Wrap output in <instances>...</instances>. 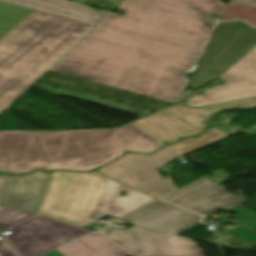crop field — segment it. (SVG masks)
Instances as JSON below:
<instances>
[{
  "label": "crop field",
  "mask_w": 256,
  "mask_h": 256,
  "mask_svg": "<svg viewBox=\"0 0 256 256\" xmlns=\"http://www.w3.org/2000/svg\"><path fill=\"white\" fill-rule=\"evenodd\" d=\"M227 4L125 0L51 70L179 102Z\"/></svg>",
  "instance_id": "8a807250"
},
{
  "label": "crop field",
  "mask_w": 256,
  "mask_h": 256,
  "mask_svg": "<svg viewBox=\"0 0 256 256\" xmlns=\"http://www.w3.org/2000/svg\"><path fill=\"white\" fill-rule=\"evenodd\" d=\"M161 146L130 124L103 130L0 132V170L91 171L126 150L152 153Z\"/></svg>",
  "instance_id": "ac0d7876"
},
{
  "label": "crop field",
  "mask_w": 256,
  "mask_h": 256,
  "mask_svg": "<svg viewBox=\"0 0 256 256\" xmlns=\"http://www.w3.org/2000/svg\"><path fill=\"white\" fill-rule=\"evenodd\" d=\"M117 185L99 172L35 171L11 176L1 204L85 225L105 214L118 217L155 199L130 189L127 198L115 197Z\"/></svg>",
  "instance_id": "34b2d1b8"
},
{
  "label": "crop field",
  "mask_w": 256,
  "mask_h": 256,
  "mask_svg": "<svg viewBox=\"0 0 256 256\" xmlns=\"http://www.w3.org/2000/svg\"><path fill=\"white\" fill-rule=\"evenodd\" d=\"M95 28L34 11L0 39V115Z\"/></svg>",
  "instance_id": "412701ff"
},
{
  "label": "crop field",
  "mask_w": 256,
  "mask_h": 256,
  "mask_svg": "<svg viewBox=\"0 0 256 256\" xmlns=\"http://www.w3.org/2000/svg\"><path fill=\"white\" fill-rule=\"evenodd\" d=\"M237 107H256V97L199 109L175 104L133 124L165 145L205 131L209 119L216 112Z\"/></svg>",
  "instance_id": "f4fd0767"
},
{
  "label": "crop field",
  "mask_w": 256,
  "mask_h": 256,
  "mask_svg": "<svg viewBox=\"0 0 256 256\" xmlns=\"http://www.w3.org/2000/svg\"><path fill=\"white\" fill-rule=\"evenodd\" d=\"M4 238L21 256H41L91 231L52 219L36 217Z\"/></svg>",
  "instance_id": "dd49c442"
},
{
  "label": "crop field",
  "mask_w": 256,
  "mask_h": 256,
  "mask_svg": "<svg viewBox=\"0 0 256 256\" xmlns=\"http://www.w3.org/2000/svg\"><path fill=\"white\" fill-rule=\"evenodd\" d=\"M155 154L158 157L126 155L120 166H110L100 172L123 185L159 197L174 188L169 180L162 179L157 169L179 156L166 148Z\"/></svg>",
  "instance_id": "e52e79f7"
},
{
  "label": "crop field",
  "mask_w": 256,
  "mask_h": 256,
  "mask_svg": "<svg viewBox=\"0 0 256 256\" xmlns=\"http://www.w3.org/2000/svg\"><path fill=\"white\" fill-rule=\"evenodd\" d=\"M212 177H203L162 199L196 211L202 215H208L219 209L229 210L241 204L245 197L233 196L224 191L219 184L230 177L222 169L214 172Z\"/></svg>",
  "instance_id": "d8731c3e"
},
{
  "label": "crop field",
  "mask_w": 256,
  "mask_h": 256,
  "mask_svg": "<svg viewBox=\"0 0 256 256\" xmlns=\"http://www.w3.org/2000/svg\"><path fill=\"white\" fill-rule=\"evenodd\" d=\"M108 237L131 251L136 256H205L190 238L174 236L132 227L128 231H112ZM130 252V253H131Z\"/></svg>",
  "instance_id": "5a996713"
},
{
  "label": "crop field",
  "mask_w": 256,
  "mask_h": 256,
  "mask_svg": "<svg viewBox=\"0 0 256 256\" xmlns=\"http://www.w3.org/2000/svg\"><path fill=\"white\" fill-rule=\"evenodd\" d=\"M219 78L226 84L194 97L186 105L200 107L256 96V47Z\"/></svg>",
  "instance_id": "3316defc"
},
{
  "label": "crop field",
  "mask_w": 256,
  "mask_h": 256,
  "mask_svg": "<svg viewBox=\"0 0 256 256\" xmlns=\"http://www.w3.org/2000/svg\"><path fill=\"white\" fill-rule=\"evenodd\" d=\"M201 219V215L158 199L115 222L177 235Z\"/></svg>",
  "instance_id": "28ad6ade"
},
{
  "label": "crop field",
  "mask_w": 256,
  "mask_h": 256,
  "mask_svg": "<svg viewBox=\"0 0 256 256\" xmlns=\"http://www.w3.org/2000/svg\"><path fill=\"white\" fill-rule=\"evenodd\" d=\"M1 2L98 25L111 12L103 10L93 11L86 5L68 0H0Z\"/></svg>",
  "instance_id": "d1516ede"
},
{
  "label": "crop field",
  "mask_w": 256,
  "mask_h": 256,
  "mask_svg": "<svg viewBox=\"0 0 256 256\" xmlns=\"http://www.w3.org/2000/svg\"><path fill=\"white\" fill-rule=\"evenodd\" d=\"M66 256H129L99 231H94L60 249Z\"/></svg>",
  "instance_id": "22f410ed"
},
{
  "label": "crop field",
  "mask_w": 256,
  "mask_h": 256,
  "mask_svg": "<svg viewBox=\"0 0 256 256\" xmlns=\"http://www.w3.org/2000/svg\"><path fill=\"white\" fill-rule=\"evenodd\" d=\"M237 128L239 127L211 125L208 132L202 135L196 136L194 138L175 143L168 147L181 155L188 151H191L199 147L205 146L207 144L221 140L224 137H226L228 134L235 131Z\"/></svg>",
  "instance_id": "cbeb9de0"
},
{
  "label": "crop field",
  "mask_w": 256,
  "mask_h": 256,
  "mask_svg": "<svg viewBox=\"0 0 256 256\" xmlns=\"http://www.w3.org/2000/svg\"><path fill=\"white\" fill-rule=\"evenodd\" d=\"M236 214L234 218L238 219V228L227 232V234L248 241L250 243L256 241V213L240 206L230 210Z\"/></svg>",
  "instance_id": "5142ce71"
},
{
  "label": "crop field",
  "mask_w": 256,
  "mask_h": 256,
  "mask_svg": "<svg viewBox=\"0 0 256 256\" xmlns=\"http://www.w3.org/2000/svg\"><path fill=\"white\" fill-rule=\"evenodd\" d=\"M31 12H33V10L0 2V37L15 27Z\"/></svg>",
  "instance_id": "d9b57169"
},
{
  "label": "crop field",
  "mask_w": 256,
  "mask_h": 256,
  "mask_svg": "<svg viewBox=\"0 0 256 256\" xmlns=\"http://www.w3.org/2000/svg\"><path fill=\"white\" fill-rule=\"evenodd\" d=\"M34 216L36 215H32L26 212H22L16 209H12V208L0 205V218H3V219L21 223Z\"/></svg>",
  "instance_id": "733c2abd"
},
{
  "label": "crop field",
  "mask_w": 256,
  "mask_h": 256,
  "mask_svg": "<svg viewBox=\"0 0 256 256\" xmlns=\"http://www.w3.org/2000/svg\"><path fill=\"white\" fill-rule=\"evenodd\" d=\"M0 256H19L8 244L1 238L0 239Z\"/></svg>",
  "instance_id": "4a817a6b"
},
{
  "label": "crop field",
  "mask_w": 256,
  "mask_h": 256,
  "mask_svg": "<svg viewBox=\"0 0 256 256\" xmlns=\"http://www.w3.org/2000/svg\"><path fill=\"white\" fill-rule=\"evenodd\" d=\"M10 176L0 175V202Z\"/></svg>",
  "instance_id": "bc2a9ffb"
},
{
  "label": "crop field",
  "mask_w": 256,
  "mask_h": 256,
  "mask_svg": "<svg viewBox=\"0 0 256 256\" xmlns=\"http://www.w3.org/2000/svg\"><path fill=\"white\" fill-rule=\"evenodd\" d=\"M120 192H125V196L120 195ZM114 195L125 198L127 196V188L119 184Z\"/></svg>",
  "instance_id": "214f88e0"
},
{
  "label": "crop field",
  "mask_w": 256,
  "mask_h": 256,
  "mask_svg": "<svg viewBox=\"0 0 256 256\" xmlns=\"http://www.w3.org/2000/svg\"><path fill=\"white\" fill-rule=\"evenodd\" d=\"M15 225H17V224H13V223H9V222L0 220V229L7 230Z\"/></svg>",
  "instance_id": "92a150f3"
},
{
  "label": "crop field",
  "mask_w": 256,
  "mask_h": 256,
  "mask_svg": "<svg viewBox=\"0 0 256 256\" xmlns=\"http://www.w3.org/2000/svg\"><path fill=\"white\" fill-rule=\"evenodd\" d=\"M230 121H231V120H229V119L223 118V119H221V120L216 121V122L213 123V124L227 125ZM230 123H231V122H230Z\"/></svg>",
  "instance_id": "dafd665d"
},
{
  "label": "crop field",
  "mask_w": 256,
  "mask_h": 256,
  "mask_svg": "<svg viewBox=\"0 0 256 256\" xmlns=\"http://www.w3.org/2000/svg\"><path fill=\"white\" fill-rule=\"evenodd\" d=\"M45 256H64L63 254L59 253L57 250L45 255Z\"/></svg>",
  "instance_id": "00972430"
},
{
  "label": "crop field",
  "mask_w": 256,
  "mask_h": 256,
  "mask_svg": "<svg viewBox=\"0 0 256 256\" xmlns=\"http://www.w3.org/2000/svg\"><path fill=\"white\" fill-rule=\"evenodd\" d=\"M151 156H156V155L153 154V155H151ZM123 158H124V157H122L121 159H123ZM121 159H119V160H121ZM119 160H117V161H115V162H113V163H111V164H109V165H107V166H105V167L99 169V171L102 170V169H104V168H106V167H108V166H110V165H118V161H119Z\"/></svg>",
  "instance_id": "a9b5d70f"
},
{
  "label": "crop field",
  "mask_w": 256,
  "mask_h": 256,
  "mask_svg": "<svg viewBox=\"0 0 256 256\" xmlns=\"http://www.w3.org/2000/svg\"><path fill=\"white\" fill-rule=\"evenodd\" d=\"M0 173H3V174H8V172H1V171H0Z\"/></svg>",
  "instance_id": "4177f3b9"
},
{
  "label": "crop field",
  "mask_w": 256,
  "mask_h": 256,
  "mask_svg": "<svg viewBox=\"0 0 256 256\" xmlns=\"http://www.w3.org/2000/svg\"><path fill=\"white\" fill-rule=\"evenodd\" d=\"M252 130H256V126L252 128Z\"/></svg>",
  "instance_id": "730fd06b"
},
{
  "label": "crop field",
  "mask_w": 256,
  "mask_h": 256,
  "mask_svg": "<svg viewBox=\"0 0 256 256\" xmlns=\"http://www.w3.org/2000/svg\"><path fill=\"white\" fill-rule=\"evenodd\" d=\"M57 219H61V220H63L62 218H59V217H57Z\"/></svg>",
  "instance_id": "eef30255"
}]
</instances>
